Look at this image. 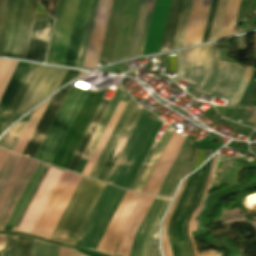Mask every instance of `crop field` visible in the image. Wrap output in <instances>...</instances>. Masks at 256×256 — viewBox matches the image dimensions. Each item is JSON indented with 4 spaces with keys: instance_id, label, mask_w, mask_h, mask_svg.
Segmentation results:
<instances>
[{
    "instance_id": "crop-field-50",
    "label": "crop field",
    "mask_w": 256,
    "mask_h": 256,
    "mask_svg": "<svg viewBox=\"0 0 256 256\" xmlns=\"http://www.w3.org/2000/svg\"><path fill=\"white\" fill-rule=\"evenodd\" d=\"M5 240H6V235H0V250H3L5 247Z\"/></svg>"
},
{
    "instance_id": "crop-field-25",
    "label": "crop field",
    "mask_w": 256,
    "mask_h": 256,
    "mask_svg": "<svg viewBox=\"0 0 256 256\" xmlns=\"http://www.w3.org/2000/svg\"><path fill=\"white\" fill-rule=\"evenodd\" d=\"M173 131H166L163 133L160 142L158 143L157 147L155 148L151 158L149 159L142 175L140 176L134 190L142 192L148 178L150 177L157 161L159 160L165 146L167 145Z\"/></svg>"
},
{
    "instance_id": "crop-field-46",
    "label": "crop field",
    "mask_w": 256,
    "mask_h": 256,
    "mask_svg": "<svg viewBox=\"0 0 256 256\" xmlns=\"http://www.w3.org/2000/svg\"><path fill=\"white\" fill-rule=\"evenodd\" d=\"M17 236H8L7 249L3 252V256H15Z\"/></svg>"
},
{
    "instance_id": "crop-field-3",
    "label": "crop field",
    "mask_w": 256,
    "mask_h": 256,
    "mask_svg": "<svg viewBox=\"0 0 256 256\" xmlns=\"http://www.w3.org/2000/svg\"><path fill=\"white\" fill-rule=\"evenodd\" d=\"M86 94L87 91L71 86L35 156V159L51 164Z\"/></svg>"
},
{
    "instance_id": "crop-field-34",
    "label": "crop field",
    "mask_w": 256,
    "mask_h": 256,
    "mask_svg": "<svg viewBox=\"0 0 256 256\" xmlns=\"http://www.w3.org/2000/svg\"><path fill=\"white\" fill-rule=\"evenodd\" d=\"M26 161H27V158L21 156L13 174L11 175L3 193L0 196V211H1L2 207L4 206V204H5L8 196H9L14 184L16 183V181H17V179H18Z\"/></svg>"
},
{
    "instance_id": "crop-field-9",
    "label": "crop field",
    "mask_w": 256,
    "mask_h": 256,
    "mask_svg": "<svg viewBox=\"0 0 256 256\" xmlns=\"http://www.w3.org/2000/svg\"><path fill=\"white\" fill-rule=\"evenodd\" d=\"M140 194L126 191L104 235L102 236L96 251L113 254L119 236L132 213Z\"/></svg>"
},
{
    "instance_id": "crop-field-4",
    "label": "crop field",
    "mask_w": 256,
    "mask_h": 256,
    "mask_svg": "<svg viewBox=\"0 0 256 256\" xmlns=\"http://www.w3.org/2000/svg\"><path fill=\"white\" fill-rule=\"evenodd\" d=\"M210 163H211V159L201 169H199L197 172H195L194 174L189 176V178L184 186V189L182 191V194H181V196H180V198H179V200L169 218L168 227H167V237H168V241H169L173 256H188L185 242L184 241L176 242L173 225H174L175 218H176L177 214L180 212V210L182 209V207L183 206L190 207L192 205V203L195 199V196L199 190V187L202 183V186L197 195V198H196L191 210L189 211L187 218L185 220V223L183 225V235H184V238L187 243L188 251H189L190 256H193L191 248H190V244L188 241L187 233H186V224H187L188 217H189L191 211L196 206L198 198L201 194V191L206 183Z\"/></svg>"
},
{
    "instance_id": "crop-field-27",
    "label": "crop field",
    "mask_w": 256,
    "mask_h": 256,
    "mask_svg": "<svg viewBox=\"0 0 256 256\" xmlns=\"http://www.w3.org/2000/svg\"><path fill=\"white\" fill-rule=\"evenodd\" d=\"M183 0H172L171 9L165 29V34L162 42L161 49L167 48V50H160L162 51H168L171 49V46H168V42L173 41L181 5ZM172 45V44H171Z\"/></svg>"
},
{
    "instance_id": "crop-field-12",
    "label": "crop field",
    "mask_w": 256,
    "mask_h": 256,
    "mask_svg": "<svg viewBox=\"0 0 256 256\" xmlns=\"http://www.w3.org/2000/svg\"><path fill=\"white\" fill-rule=\"evenodd\" d=\"M184 139V137L178 135L174 131L168 145L166 146L159 162L157 163L151 177L149 178L143 190L144 193L156 195Z\"/></svg>"
},
{
    "instance_id": "crop-field-15",
    "label": "crop field",
    "mask_w": 256,
    "mask_h": 256,
    "mask_svg": "<svg viewBox=\"0 0 256 256\" xmlns=\"http://www.w3.org/2000/svg\"><path fill=\"white\" fill-rule=\"evenodd\" d=\"M91 0H79L63 65L75 67Z\"/></svg>"
},
{
    "instance_id": "crop-field-33",
    "label": "crop field",
    "mask_w": 256,
    "mask_h": 256,
    "mask_svg": "<svg viewBox=\"0 0 256 256\" xmlns=\"http://www.w3.org/2000/svg\"><path fill=\"white\" fill-rule=\"evenodd\" d=\"M227 0H218L215 14H214V19L209 35V40L217 39L219 36L225 8H226Z\"/></svg>"
},
{
    "instance_id": "crop-field-11",
    "label": "crop field",
    "mask_w": 256,
    "mask_h": 256,
    "mask_svg": "<svg viewBox=\"0 0 256 256\" xmlns=\"http://www.w3.org/2000/svg\"><path fill=\"white\" fill-rule=\"evenodd\" d=\"M140 1L126 0L111 62L125 59L128 56Z\"/></svg>"
},
{
    "instance_id": "crop-field-28",
    "label": "crop field",
    "mask_w": 256,
    "mask_h": 256,
    "mask_svg": "<svg viewBox=\"0 0 256 256\" xmlns=\"http://www.w3.org/2000/svg\"><path fill=\"white\" fill-rule=\"evenodd\" d=\"M99 0H92L76 67L82 68Z\"/></svg>"
},
{
    "instance_id": "crop-field-52",
    "label": "crop field",
    "mask_w": 256,
    "mask_h": 256,
    "mask_svg": "<svg viewBox=\"0 0 256 256\" xmlns=\"http://www.w3.org/2000/svg\"><path fill=\"white\" fill-rule=\"evenodd\" d=\"M247 122H248V123L255 124V122H256V109H255V111L253 112V114L250 116V118L248 119Z\"/></svg>"
},
{
    "instance_id": "crop-field-43",
    "label": "crop field",
    "mask_w": 256,
    "mask_h": 256,
    "mask_svg": "<svg viewBox=\"0 0 256 256\" xmlns=\"http://www.w3.org/2000/svg\"><path fill=\"white\" fill-rule=\"evenodd\" d=\"M184 71H185L184 53H183V51H180V52H177V73H176L175 78L173 79L178 84L184 75Z\"/></svg>"
},
{
    "instance_id": "crop-field-17",
    "label": "crop field",
    "mask_w": 256,
    "mask_h": 256,
    "mask_svg": "<svg viewBox=\"0 0 256 256\" xmlns=\"http://www.w3.org/2000/svg\"><path fill=\"white\" fill-rule=\"evenodd\" d=\"M155 198V197H154ZM153 197L141 195L133 213L131 214L116 248L115 254L128 256L133 236L145 215Z\"/></svg>"
},
{
    "instance_id": "crop-field-49",
    "label": "crop field",
    "mask_w": 256,
    "mask_h": 256,
    "mask_svg": "<svg viewBox=\"0 0 256 256\" xmlns=\"http://www.w3.org/2000/svg\"><path fill=\"white\" fill-rule=\"evenodd\" d=\"M256 14V0H252L251 9H250V15Z\"/></svg>"
},
{
    "instance_id": "crop-field-16",
    "label": "crop field",
    "mask_w": 256,
    "mask_h": 256,
    "mask_svg": "<svg viewBox=\"0 0 256 256\" xmlns=\"http://www.w3.org/2000/svg\"><path fill=\"white\" fill-rule=\"evenodd\" d=\"M78 0H65L50 63L62 65Z\"/></svg>"
},
{
    "instance_id": "crop-field-55",
    "label": "crop field",
    "mask_w": 256,
    "mask_h": 256,
    "mask_svg": "<svg viewBox=\"0 0 256 256\" xmlns=\"http://www.w3.org/2000/svg\"><path fill=\"white\" fill-rule=\"evenodd\" d=\"M83 256V255H82Z\"/></svg>"
},
{
    "instance_id": "crop-field-40",
    "label": "crop field",
    "mask_w": 256,
    "mask_h": 256,
    "mask_svg": "<svg viewBox=\"0 0 256 256\" xmlns=\"http://www.w3.org/2000/svg\"><path fill=\"white\" fill-rule=\"evenodd\" d=\"M32 239L18 236L16 256H30Z\"/></svg>"
},
{
    "instance_id": "crop-field-23",
    "label": "crop field",
    "mask_w": 256,
    "mask_h": 256,
    "mask_svg": "<svg viewBox=\"0 0 256 256\" xmlns=\"http://www.w3.org/2000/svg\"><path fill=\"white\" fill-rule=\"evenodd\" d=\"M139 115H140V112H138L136 110L133 111V113H132L130 119L128 120L122 134L120 135L114 149L112 150V152H111V154H110V156H109V158H108V160H107V162H106L98 180H101V181L105 182L112 166L114 165L122 147L124 146L131 130L133 129Z\"/></svg>"
},
{
    "instance_id": "crop-field-7",
    "label": "crop field",
    "mask_w": 256,
    "mask_h": 256,
    "mask_svg": "<svg viewBox=\"0 0 256 256\" xmlns=\"http://www.w3.org/2000/svg\"><path fill=\"white\" fill-rule=\"evenodd\" d=\"M243 68L234 63L219 61V73L210 95L231 100L243 75ZM252 67H245L243 79L228 106H236L247 86Z\"/></svg>"
},
{
    "instance_id": "crop-field-53",
    "label": "crop field",
    "mask_w": 256,
    "mask_h": 256,
    "mask_svg": "<svg viewBox=\"0 0 256 256\" xmlns=\"http://www.w3.org/2000/svg\"><path fill=\"white\" fill-rule=\"evenodd\" d=\"M121 71L123 72L128 71V62L122 63Z\"/></svg>"
},
{
    "instance_id": "crop-field-39",
    "label": "crop field",
    "mask_w": 256,
    "mask_h": 256,
    "mask_svg": "<svg viewBox=\"0 0 256 256\" xmlns=\"http://www.w3.org/2000/svg\"><path fill=\"white\" fill-rule=\"evenodd\" d=\"M200 76L201 66H195V62H186V71L183 78L197 83Z\"/></svg>"
},
{
    "instance_id": "crop-field-51",
    "label": "crop field",
    "mask_w": 256,
    "mask_h": 256,
    "mask_svg": "<svg viewBox=\"0 0 256 256\" xmlns=\"http://www.w3.org/2000/svg\"><path fill=\"white\" fill-rule=\"evenodd\" d=\"M215 253H216V252H213V251L208 250V251H203L202 253H200V256H212V255H214ZM215 256H221V255L217 254V255H215Z\"/></svg>"
},
{
    "instance_id": "crop-field-1",
    "label": "crop field",
    "mask_w": 256,
    "mask_h": 256,
    "mask_svg": "<svg viewBox=\"0 0 256 256\" xmlns=\"http://www.w3.org/2000/svg\"><path fill=\"white\" fill-rule=\"evenodd\" d=\"M37 0H0V56L25 57Z\"/></svg>"
},
{
    "instance_id": "crop-field-6",
    "label": "crop field",
    "mask_w": 256,
    "mask_h": 256,
    "mask_svg": "<svg viewBox=\"0 0 256 256\" xmlns=\"http://www.w3.org/2000/svg\"><path fill=\"white\" fill-rule=\"evenodd\" d=\"M169 201L157 197L153 199L134 236L129 256H159L158 226Z\"/></svg>"
},
{
    "instance_id": "crop-field-41",
    "label": "crop field",
    "mask_w": 256,
    "mask_h": 256,
    "mask_svg": "<svg viewBox=\"0 0 256 256\" xmlns=\"http://www.w3.org/2000/svg\"><path fill=\"white\" fill-rule=\"evenodd\" d=\"M62 4H63V0H59L58 4L56 6V22H55L51 42L49 45V49H48V53H47V57H46V61H45L47 63H49V61H50V57H51V53H52V49H53V45H54V41H55V36H56V32H57V28H58V24H59V20H60V16H61Z\"/></svg>"
},
{
    "instance_id": "crop-field-48",
    "label": "crop field",
    "mask_w": 256,
    "mask_h": 256,
    "mask_svg": "<svg viewBox=\"0 0 256 256\" xmlns=\"http://www.w3.org/2000/svg\"><path fill=\"white\" fill-rule=\"evenodd\" d=\"M78 72L79 71L68 70L66 75H65V77H64V79H63V81H62V83H61V85L66 83L67 81L75 78L77 76Z\"/></svg>"
},
{
    "instance_id": "crop-field-8",
    "label": "crop field",
    "mask_w": 256,
    "mask_h": 256,
    "mask_svg": "<svg viewBox=\"0 0 256 256\" xmlns=\"http://www.w3.org/2000/svg\"><path fill=\"white\" fill-rule=\"evenodd\" d=\"M66 71L40 65L17 114L27 112L58 89Z\"/></svg>"
},
{
    "instance_id": "crop-field-24",
    "label": "crop field",
    "mask_w": 256,
    "mask_h": 256,
    "mask_svg": "<svg viewBox=\"0 0 256 256\" xmlns=\"http://www.w3.org/2000/svg\"><path fill=\"white\" fill-rule=\"evenodd\" d=\"M108 103H109L108 100L102 99V101H101V103H100L92 121L90 122V124H89V126H88V128H87L79 146L77 145L78 147H77L70 163L68 162L69 163V165L67 164L68 167L66 166L68 170L74 171V169H75V167H76L84 149L86 148V146H87V144H88V142H89L96 126H97V124L99 123V121H100V119H101V117H102V115H103V113H104V111L107 107Z\"/></svg>"
},
{
    "instance_id": "crop-field-54",
    "label": "crop field",
    "mask_w": 256,
    "mask_h": 256,
    "mask_svg": "<svg viewBox=\"0 0 256 256\" xmlns=\"http://www.w3.org/2000/svg\"><path fill=\"white\" fill-rule=\"evenodd\" d=\"M70 256H81L80 254H78L76 251L71 250V254Z\"/></svg>"
},
{
    "instance_id": "crop-field-44",
    "label": "crop field",
    "mask_w": 256,
    "mask_h": 256,
    "mask_svg": "<svg viewBox=\"0 0 256 256\" xmlns=\"http://www.w3.org/2000/svg\"><path fill=\"white\" fill-rule=\"evenodd\" d=\"M251 0H241L236 22L248 17Z\"/></svg>"
},
{
    "instance_id": "crop-field-5",
    "label": "crop field",
    "mask_w": 256,
    "mask_h": 256,
    "mask_svg": "<svg viewBox=\"0 0 256 256\" xmlns=\"http://www.w3.org/2000/svg\"><path fill=\"white\" fill-rule=\"evenodd\" d=\"M37 68L36 64L18 63L0 100V133L11 124Z\"/></svg>"
},
{
    "instance_id": "crop-field-36",
    "label": "crop field",
    "mask_w": 256,
    "mask_h": 256,
    "mask_svg": "<svg viewBox=\"0 0 256 256\" xmlns=\"http://www.w3.org/2000/svg\"><path fill=\"white\" fill-rule=\"evenodd\" d=\"M256 69H253L251 80L242 95L238 106H255L256 107Z\"/></svg>"
},
{
    "instance_id": "crop-field-14",
    "label": "crop field",
    "mask_w": 256,
    "mask_h": 256,
    "mask_svg": "<svg viewBox=\"0 0 256 256\" xmlns=\"http://www.w3.org/2000/svg\"><path fill=\"white\" fill-rule=\"evenodd\" d=\"M70 86L66 87L56 95H54L44 112L38 126L36 127L31 139L29 140L23 155L34 157L41 141L43 140L51 122L53 121L60 105L62 104Z\"/></svg>"
},
{
    "instance_id": "crop-field-47",
    "label": "crop field",
    "mask_w": 256,
    "mask_h": 256,
    "mask_svg": "<svg viewBox=\"0 0 256 256\" xmlns=\"http://www.w3.org/2000/svg\"><path fill=\"white\" fill-rule=\"evenodd\" d=\"M156 144H154L152 147H150V149H149V151H148V153H147V155H146V157H145V159H144V161H143V163H142V165H141V167H140V169H139V171H138V173H137V175H136V177H135V179H134V181H133V183H132V185L130 187L131 190H133V188H134V186H135V184H136V182H137L141 172L143 171V169H144V167H145V165H146V163H147V161H148L152 151L154 150Z\"/></svg>"
},
{
    "instance_id": "crop-field-19",
    "label": "crop field",
    "mask_w": 256,
    "mask_h": 256,
    "mask_svg": "<svg viewBox=\"0 0 256 256\" xmlns=\"http://www.w3.org/2000/svg\"><path fill=\"white\" fill-rule=\"evenodd\" d=\"M125 90H123L121 87L118 86L109 106L107 107L97 129L95 130L86 150L84 151L76 169H75V172L81 174L87 160L89 159L94 147L96 146L102 132L104 131L109 119L111 118L117 104L119 103L123 93H124Z\"/></svg>"
},
{
    "instance_id": "crop-field-31",
    "label": "crop field",
    "mask_w": 256,
    "mask_h": 256,
    "mask_svg": "<svg viewBox=\"0 0 256 256\" xmlns=\"http://www.w3.org/2000/svg\"><path fill=\"white\" fill-rule=\"evenodd\" d=\"M20 155L8 152L0 168V194L2 193L10 175L12 174Z\"/></svg>"
},
{
    "instance_id": "crop-field-35",
    "label": "crop field",
    "mask_w": 256,
    "mask_h": 256,
    "mask_svg": "<svg viewBox=\"0 0 256 256\" xmlns=\"http://www.w3.org/2000/svg\"><path fill=\"white\" fill-rule=\"evenodd\" d=\"M210 50V79L203 90V93H209L218 73V50L216 43L209 45Z\"/></svg>"
},
{
    "instance_id": "crop-field-20",
    "label": "crop field",
    "mask_w": 256,
    "mask_h": 256,
    "mask_svg": "<svg viewBox=\"0 0 256 256\" xmlns=\"http://www.w3.org/2000/svg\"><path fill=\"white\" fill-rule=\"evenodd\" d=\"M125 0H114L100 57L111 60Z\"/></svg>"
},
{
    "instance_id": "crop-field-29",
    "label": "crop field",
    "mask_w": 256,
    "mask_h": 256,
    "mask_svg": "<svg viewBox=\"0 0 256 256\" xmlns=\"http://www.w3.org/2000/svg\"><path fill=\"white\" fill-rule=\"evenodd\" d=\"M191 3H192V0H184L183 1V5H182V9H181V13H180V17H179V21H178V25H177V29H176V33H175V37H174V41H173L171 50L180 48L182 45V41H183L185 29H186V24H187L189 12H190Z\"/></svg>"
},
{
    "instance_id": "crop-field-30",
    "label": "crop field",
    "mask_w": 256,
    "mask_h": 256,
    "mask_svg": "<svg viewBox=\"0 0 256 256\" xmlns=\"http://www.w3.org/2000/svg\"><path fill=\"white\" fill-rule=\"evenodd\" d=\"M27 121L18 122L0 140V147L13 151Z\"/></svg>"
},
{
    "instance_id": "crop-field-21",
    "label": "crop field",
    "mask_w": 256,
    "mask_h": 256,
    "mask_svg": "<svg viewBox=\"0 0 256 256\" xmlns=\"http://www.w3.org/2000/svg\"><path fill=\"white\" fill-rule=\"evenodd\" d=\"M134 107H135V104H133L132 102H130L128 100V102H127V104H126V106H125L117 124L115 125V127H114V129H113V131H112V133H111L103 151L101 152V154H100V156H99V158H98V160H97V162H96V164H95V166H94V168H93V170L90 174V177H93V178L97 179L103 165L105 164V162H106L114 144L116 143V141H117V139H118V137H119V135H120L127 119H128V117H129V115H130V113H131V111Z\"/></svg>"
},
{
    "instance_id": "crop-field-18",
    "label": "crop field",
    "mask_w": 256,
    "mask_h": 256,
    "mask_svg": "<svg viewBox=\"0 0 256 256\" xmlns=\"http://www.w3.org/2000/svg\"><path fill=\"white\" fill-rule=\"evenodd\" d=\"M37 164L38 161L28 159L17 183L0 213V231H3Z\"/></svg>"
},
{
    "instance_id": "crop-field-22",
    "label": "crop field",
    "mask_w": 256,
    "mask_h": 256,
    "mask_svg": "<svg viewBox=\"0 0 256 256\" xmlns=\"http://www.w3.org/2000/svg\"><path fill=\"white\" fill-rule=\"evenodd\" d=\"M192 141L185 139L172 167L170 168L165 180L163 181L157 195L171 197L178 183L179 175L186 154L192 145Z\"/></svg>"
},
{
    "instance_id": "crop-field-45",
    "label": "crop field",
    "mask_w": 256,
    "mask_h": 256,
    "mask_svg": "<svg viewBox=\"0 0 256 256\" xmlns=\"http://www.w3.org/2000/svg\"><path fill=\"white\" fill-rule=\"evenodd\" d=\"M216 2H217V0H212V2H211V7H210V11H209L208 20H207V24H206L205 33H204L202 43L206 42L207 39H208V35H209V31H210V27H211V23H212V19H213V14H214L215 6H216Z\"/></svg>"
},
{
    "instance_id": "crop-field-42",
    "label": "crop field",
    "mask_w": 256,
    "mask_h": 256,
    "mask_svg": "<svg viewBox=\"0 0 256 256\" xmlns=\"http://www.w3.org/2000/svg\"><path fill=\"white\" fill-rule=\"evenodd\" d=\"M48 168H49V166L46 165V167H45V169H44V171H43L41 177L39 178V180H38V182H37V184H36L34 190L32 191V193H31V195H30V197H29V199H28L26 205L24 206V208H23V210H22V212H21L19 218L17 219V221H16V223H15L13 229H12L13 232H15V230H16V228H17L19 222H20V220L22 219V217H23V215H24V213H25L27 207L29 206V204H30V202H31V200H32V198H33L35 192L37 191V189H38V187H39V185H40L42 179L44 178V176H45V174H46Z\"/></svg>"
},
{
    "instance_id": "crop-field-32",
    "label": "crop field",
    "mask_w": 256,
    "mask_h": 256,
    "mask_svg": "<svg viewBox=\"0 0 256 256\" xmlns=\"http://www.w3.org/2000/svg\"><path fill=\"white\" fill-rule=\"evenodd\" d=\"M148 2H149V0H142V2H141V6H140V10H139L137 23H136V27H135L133 40H132L128 58L134 57L136 54V50H137V46H138V42H139V38H140L142 26H143L145 14H146Z\"/></svg>"
},
{
    "instance_id": "crop-field-38",
    "label": "crop field",
    "mask_w": 256,
    "mask_h": 256,
    "mask_svg": "<svg viewBox=\"0 0 256 256\" xmlns=\"http://www.w3.org/2000/svg\"><path fill=\"white\" fill-rule=\"evenodd\" d=\"M202 52V77L195 87V89H198L200 91L203 90L207 80L209 79V59H208V49L207 45L201 47Z\"/></svg>"
},
{
    "instance_id": "crop-field-26",
    "label": "crop field",
    "mask_w": 256,
    "mask_h": 256,
    "mask_svg": "<svg viewBox=\"0 0 256 256\" xmlns=\"http://www.w3.org/2000/svg\"><path fill=\"white\" fill-rule=\"evenodd\" d=\"M44 167H45V164L39 162V164H38V166H37V168H36L32 178L30 179V181H29V183H28V185H27L23 195L21 196V198H20V200H19V202H18V204H17L13 214L11 215V217H10V219H9L5 229H4V231H11V229H12L16 219L18 218V216H19L23 206L25 205V203H26V201H27L31 191L33 190V188H34L38 178L40 177Z\"/></svg>"
},
{
    "instance_id": "crop-field-37",
    "label": "crop field",
    "mask_w": 256,
    "mask_h": 256,
    "mask_svg": "<svg viewBox=\"0 0 256 256\" xmlns=\"http://www.w3.org/2000/svg\"><path fill=\"white\" fill-rule=\"evenodd\" d=\"M59 247L33 239L31 256H58Z\"/></svg>"
},
{
    "instance_id": "crop-field-13",
    "label": "crop field",
    "mask_w": 256,
    "mask_h": 256,
    "mask_svg": "<svg viewBox=\"0 0 256 256\" xmlns=\"http://www.w3.org/2000/svg\"><path fill=\"white\" fill-rule=\"evenodd\" d=\"M52 23L48 14L36 13L25 59L43 62L48 42L38 38L40 32L50 33ZM49 35L41 33L39 40L48 41Z\"/></svg>"
},
{
    "instance_id": "crop-field-10",
    "label": "crop field",
    "mask_w": 256,
    "mask_h": 256,
    "mask_svg": "<svg viewBox=\"0 0 256 256\" xmlns=\"http://www.w3.org/2000/svg\"><path fill=\"white\" fill-rule=\"evenodd\" d=\"M113 0H100L83 68L95 69L105 35Z\"/></svg>"
},
{
    "instance_id": "crop-field-2",
    "label": "crop field",
    "mask_w": 256,
    "mask_h": 256,
    "mask_svg": "<svg viewBox=\"0 0 256 256\" xmlns=\"http://www.w3.org/2000/svg\"><path fill=\"white\" fill-rule=\"evenodd\" d=\"M104 187L82 177L49 240L74 246Z\"/></svg>"
}]
</instances>
